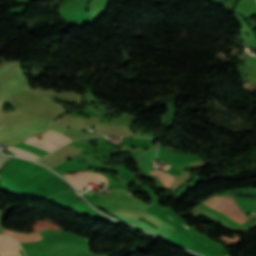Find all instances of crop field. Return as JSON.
I'll use <instances>...</instances> for the list:
<instances>
[{"instance_id": "obj_1", "label": "crop field", "mask_w": 256, "mask_h": 256, "mask_svg": "<svg viewBox=\"0 0 256 256\" xmlns=\"http://www.w3.org/2000/svg\"><path fill=\"white\" fill-rule=\"evenodd\" d=\"M12 106L16 110L40 116L55 121L64 109L46 101L45 99L29 92L26 94L8 97Z\"/></svg>"}, {"instance_id": "obj_2", "label": "crop field", "mask_w": 256, "mask_h": 256, "mask_svg": "<svg viewBox=\"0 0 256 256\" xmlns=\"http://www.w3.org/2000/svg\"><path fill=\"white\" fill-rule=\"evenodd\" d=\"M204 204L240 224L247 219L233 197H215Z\"/></svg>"}, {"instance_id": "obj_3", "label": "crop field", "mask_w": 256, "mask_h": 256, "mask_svg": "<svg viewBox=\"0 0 256 256\" xmlns=\"http://www.w3.org/2000/svg\"><path fill=\"white\" fill-rule=\"evenodd\" d=\"M38 137H42V139H40V140L45 141L47 143H50L52 145H55L57 147H60L61 145L65 144L69 141H72V140L68 139L67 137H65L63 135L55 133V132L50 131V130H48L47 132H45V133H43L39 136H34V138H37V139H38ZM34 138L30 137V138L24 140L23 142L28 143L32 146L41 148L43 150L49 151V152H51V151H53L57 148L55 146L44 143V142L39 141V140L34 139Z\"/></svg>"}, {"instance_id": "obj_4", "label": "crop field", "mask_w": 256, "mask_h": 256, "mask_svg": "<svg viewBox=\"0 0 256 256\" xmlns=\"http://www.w3.org/2000/svg\"><path fill=\"white\" fill-rule=\"evenodd\" d=\"M67 180L74 184L78 189H82L88 182H102L107 186V180L104 176L93 172H77L73 174H63ZM99 184V182H98Z\"/></svg>"}, {"instance_id": "obj_5", "label": "crop field", "mask_w": 256, "mask_h": 256, "mask_svg": "<svg viewBox=\"0 0 256 256\" xmlns=\"http://www.w3.org/2000/svg\"><path fill=\"white\" fill-rule=\"evenodd\" d=\"M112 212L114 213H118V214H122V215H126L129 217H133L136 219H140L146 223H148L149 225L153 226V227H158L160 226L162 223L158 222L157 220H155L154 218H152L151 216L135 211V210H131V209H127V208H122L119 207L115 210H113Z\"/></svg>"}, {"instance_id": "obj_6", "label": "crop field", "mask_w": 256, "mask_h": 256, "mask_svg": "<svg viewBox=\"0 0 256 256\" xmlns=\"http://www.w3.org/2000/svg\"><path fill=\"white\" fill-rule=\"evenodd\" d=\"M157 148L152 146L148 150L138 153L139 167L144 171H151V163L155 161Z\"/></svg>"}, {"instance_id": "obj_7", "label": "crop field", "mask_w": 256, "mask_h": 256, "mask_svg": "<svg viewBox=\"0 0 256 256\" xmlns=\"http://www.w3.org/2000/svg\"><path fill=\"white\" fill-rule=\"evenodd\" d=\"M7 150H9L10 152H12L13 154H15L17 156L25 157V158H28L33 161L39 159V157H37V156H34L32 154H29L27 152H24L22 150L12 147V146H8Z\"/></svg>"}, {"instance_id": "obj_8", "label": "crop field", "mask_w": 256, "mask_h": 256, "mask_svg": "<svg viewBox=\"0 0 256 256\" xmlns=\"http://www.w3.org/2000/svg\"><path fill=\"white\" fill-rule=\"evenodd\" d=\"M0 256H22L18 250L7 252V253H1Z\"/></svg>"}]
</instances>
